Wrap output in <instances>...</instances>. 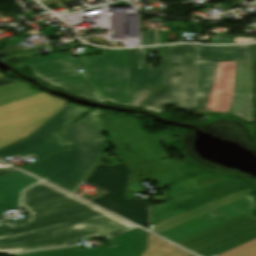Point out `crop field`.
<instances>
[{"instance_id": "obj_29", "label": "crop field", "mask_w": 256, "mask_h": 256, "mask_svg": "<svg viewBox=\"0 0 256 256\" xmlns=\"http://www.w3.org/2000/svg\"><path fill=\"white\" fill-rule=\"evenodd\" d=\"M194 256V255H193Z\"/></svg>"}, {"instance_id": "obj_11", "label": "crop field", "mask_w": 256, "mask_h": 256, "mask_svg": "<svg viewBox=\"0 0 256 256\" xmlns=\"http://www.w3.org/2000/svg\"><path fill=\"white\" fill-rule=\"evenodd\" d=\"M148 232L138 228L109 238L115 246L79 250L78 247L46 250L16 256H141Z\"/></svg>"}, {"instance_id": "obj_3", "label": "crop field", "mask_w": 256, "mask_h": 256, "mask_svg": "<svg viewBox=\"0 0 256 256\" xmlns=\"http://www.w3.org/2000/svg\"><path fill=\"white\" fill-rule=\"evenodd\" d=\"M97 117L98 112L93 111L60 132L67 151L23 170L73 193L107 149Z\"/></svg>"}, {"instance_id": "obj_22", "label": "crop field", "mask_w": 256, "mask_h": 256, "mask_svg": "<svg viewBox=\"0 0 256 256\" xmlns=\"http://www.w3.org/2000/svg\"><path fill=\"white\" fill-rule=\"evenodd\" d=\"M219 256H256V240L241 245Z\"/></svg>"}, {"instance_id": "obj_4", "label": "crop field", "mask_w": 256, "mask_h": 256, "mask_svg": "<svg viewBox=\"0 0 256 256\" xmlns=\"http://www.w3.org/2000/svg\"><path fill=\"white\" fill-rule=\"evenodd\" d=\"M252 60L249 46L196 45L193 115L232 110L235 61Z\"/></svg>"}, {"instance_id": "obj_17", "label": "crop field", "mask_w": 256, "mask_h": 256, "mask_svg": "<svg viewBox=\"0 0 256 256\" xmlns=\"http://www.w3.org/2000/svg\"><path fill=\"white\" fill-rule=\"evenodd\" d=\"M248 187V184L238 179H234L200 189L194 193L201 207Z\"/></svg>"}, {"instance_id": "obj_13", "label": "crop field", "mask_w": 256, "mask_h": 256, "mask_svg": "<svg viewBox=\"0 0 256 256\" xmlns=\"http://www.w3.org/2000/svg\"><path fill=\"white\" fill-rule=\"evenodd\" d=\"M38 179L21 171L0 178V214L6 209H18L21 192L37 183ZM1 219V217H0Z\"/></svg>"}, {"instance_id": "obj_15", "label": "crop field", "mask_w": 256, "mask_h": 256, "mask_svg": "<svg viewBox=\"0 0 256 256\" xmlns=\"http://www.w3.org/2000/svg\"><path fill=\"white\" fill-rule=\"evenodd\" d=\"M198 207V203L193 193L183 194L179 197L169 200L163 206H152L151 221L152 224H155Z\"/></svg>"}, {"instance_id": "obj_8", "label": "crop field", "mask_w": 256, "mask_h": 256, "mask_svg": "<svg viewBox=\"0 0 256 256\" xmlns=\"http://www.w3.org/2000/svg\"><path fill=\"white\" fill-rule=\"evenodd\" d=\"M90 110L67 103L28 137L1 148L0 159L19 155L40 160L65 149L63 139L57 133Z\"/></svg>"}, {"instance_id": "obj_18", "label": "crop field", "mask_w": 256, "mask_h": 256, "mask_svg": "<svg viewBox=\"0 0 256 256\" xmlns=\"http://www.w3.org/2000/svg\"><path fill=\"white\" fill-rule=\"evenodd\" d=\"M256 238V227L225 239L195 253L201 256H216Z\"/></svg>"}, {"instance_id": "obj_21", "label": "crop field", "mask_w": 256, "mask_h": 256, "mask_svg": "<svg viewBox=\"0 0 256 256\" xmlns=\"http://www.w3.org/2000/svg\"><path fill=\"white\" fill-rule=\"evenodd\" d=\"M39 94L42 93L26 86L22 82L1 87L0 106H4Z\"/></svg>"}, {"instance_id": "obj_27", "label": "crop field", "mask_w": 256, "mask_h": 256, "mask_svg": "<svg viewBox=\"0 0 256 256\" xmlns=\"http://www.w3.org/2000/svg\"><path fill=\"white\" fill-rule=\"evenodd\" d=\"M17 170H5V171H0V177L1 176H4V175H7L9 173H12V172H15Z\"/></svg>"}, {"instance_id": "obj_19", "label": "crop field", "mask_w": 256, "mask_h": 256, "mask_svg": "<svg viewBox=\"0 0 256 256\" xmlns=\"http://www.w3.org/2000/svg\"><path fill=\"white\" fill-rule=\"evenodd\" d=\"M228 177L204 173L194 178L188 179L171 187H168L170 199L183 193L191 192L194 189L227 179Z\"/></svg>"}, {"instance_id": "obj_20", "label": "crop field", "mask_w": 256, "mask_h": 256, "mask_svg": "<svg viewBox=\"0 0 256 256\" xmlns=\"http://www.w3.org/2000/svg\"><path fill=\"white\" fill-rule=\"evenodd\" d=\"M190 255L192 254L152 234H149L147 250L143 253L142 256H190Z\"/></svg>"}, {"instance_id": "obj_12", "label": "crop field", "mask_w": 256, "mask_h": 256, "mask_svg": "<svg viewBox=\"0 0 256 256\" xmlns=\"http://www.w3.org/2000/svg\"><path fill=\"white\" fill-rule=\"evenodd\" d=\"M249 213L213 227L178 244L195 252L199 249L254 227L256 226V217Z\"/></svg>"}, {"instance_id": "obj_16", "label": "crop field", "mask_w": 256, "mask_h": 256, "mask_svg": "<svg viewBox=\"0 0 256 256\" xmlns=\"http://www.w3.org/2000/svg\"><path fill=\"white\" fill-rule=\"evenodd\" d=\"M251 193H252L251 189L248 188V189H246L244 191H241V192L236 193L234 195L228 196L226 198H223L221 200H218L216 202H213L211 204H208V205L203 206L201 208H198L196 210H193V211H190L188 213L182 214L180 216H177L175 218L169 219L167 221L155 224V225L152 226V231L151 232H153L155 234H158V233H160L162 231H165V230H167L169 228H172V227H174L176 225H179V224H181L183 222H186V221H188L190 219H193V218H195L197 216H200V215H202L204 213H207V212H209L211 210H214V209L219 208V207H221L223 205H226V204H228L230 202H233V201H235L237 199L245 197V196H247V195H249Z\"/></svg>"}, {"instance_id": "obj_6", "label": "crop field", "mask_w": 256, "mask_h": 256, "mask_svg": "<svg viewBox=\"0 0 256 256\" xmlns=\"http://www.w3.org/2000/svg\"><path fill=\"white\" fill-rule=\"evenodd\" d=\"M129 172L123 164L114 167L97 165L85 182L106 193L90 201L139 225L147 224L149 199H127L124 196Z\"/></svg>"}, {"instance_id": "obj_5", "label": "crop field", "mask_w": 256, "mask_h": 256, "mask_svg": "<svg viewBox=\"0 0 256 256\" xmlns=\"http://www.w3.org/2000/svg\"><path fill=\"white\" fill-rule=\"evenodd\" d=\"M194 57L195 45H172L162 87L139 107L157 113L163 111L166 104L193 110Z\"/></svg>"}, {"instance_id": "obj_9", "label": "crop field", "mask_w": 256, "mask_h": 256, "mask_svg": "<svg viewBox=\"0 0 256 256\" xmlns=\"http://www.w3.org/2000/svg\"><path fill=\"white\" fill-rule=\"evenodd\" d=\"M169 48L170 46L153 48L162 50L161 63L157 69H154V65H147L144 48L128 50L132 107H138L161 87Z\"/></svg>"}, {"instance_id": "obj_10", "label": "crop field", "mask_w": 256, "mask_h": 256, "mask_svg": "<svg viewBox=\"0 0 256 256\" xmlns=\"http://www.w3.org/2000/svg\"><path fill=\"white\" fill-rule=\"evenodd\" d=\"M256 209V197L249 195L158 235L178 243L213 226Z\"/></svg>"}, {"instance_id": "obj_7", "label": "crop field", "mask_w": 256, "mask_h": 256, "mask_svg": "<svg viewBox=\"0 0 256 256\" xmlns=\"http://www.w3.org/2000/svg\"><path fill=\"white\" fill-rule=\"evenodd\" d=\"M66 103L42 94L0 107V148L28 136Z\"/></svg>"}, {"instance_id": "obj_2", "label": "crop field", "mask_w": 256, "mask_h": 256, "mask_svg": "<svg viewBox=\"0 0 256 256\" xmlns=\"http://www.w3.org/2000/svg\"><path fill=\"white\" fill-rule=\"evenodd\" d=\"M85 75L78 73L80 58L51 55L14 64L29 67L32 74L61 89L103 103L131 107L127 53L104 51V56L84 57Z\"/></svg>"}, {"instance_id": "obj_14", "label": "crop field", "mask_w": 256, "mask_h": 256, "mask_svg": "<svg viewBox=\"0 0 256 256\" xmlns=\"http://www.w3.org/2000/svg\"><path fill=\"white\" fill-rule=\"evenodd\" d=\"M252 61L236 62V85L234 103H233V115L242 119H250L251 122V73L250 66ZM245 92V93H243ZM250 96H247V95ZM241 114V116H238Z\"/></svg>"}, {"instance_id": "obj_26", "label": "crop field", "mask_w": 256, "mask_h": 256, "mask_svg": "<svg viewBox=\"0 0 256 256\" xmlns=\"http://www.w3.org/2000/svg\"><path fill=\"white\" fill-rule=\"evenodd\" d=\"M15 82H19V81L18 80H9V79H5L4 77H2V78H0V87L15 83Z\"/></svg>"}, {"instance_id": "obj_24", "label": "crop field", "mask_w": 256, "mask_h": 256, "mask_svg": "<svg viewBox=\"0 0 256 256\" xmlns=\"http://www.w3.org/2000/svg\"><path fill=\"white\" fill-rule=\"evenodd\" d=\"M144 45L156 44L155 32H142Z\"/></svg>"}, {"instance_id": "obj_28", "label": "crop field", "mask_w": 256, "mask_h": 256, "mask_svg": "<svg viewBox=\"0 0 256 256\" xmlns=\"http://www.w3.org/2000/svg\"><path fill=\"white\" fill-rule=\"evenodd\" d=\"M0 254H4V255H6L5 253H3V252H1V251H0Z\"/></svg>"}, {"instance_id": "obj_23", "label": "crop field", "mask_w": 256, "mask_h": 256, "mask_svg": "<svg viewBox=\"0 0 256 256\" xmlns=\"http://www.w3.org/2000/svg\"><path fill=\"white\" fill-rule=\"evenodd\" d=\"M252 58H253V88H254V96L256 97V45L250 46Z\"/></svg>"}, {"instance_id": "obj_1", "label": "crop field", "mask_w": 256, "mask_h": 256, "mask_svg": "<svg viewBox=\"0 0 256 256\" xmlns=\"http://www.w3.org/2000/svg\"><path fill=\"white\" fill-rule=\"evenodd\" d=\"M22 208L30 213L28 222L16 227L0 222V250L8 255L102 237L95 228L77 230V225L106 226V236L134 227L44 182L24 193Z\"/></svg>"}, {"instance_id": "obj_25", "label": "crop field", "mask_w": 256, "mask_h": 256, "mask_svg": "<svg viewBox=\"0 0 256 256\" xmlns=\"http://www.w3.org/2000/svg\"><path fill=\"white\" fill-rule=\"evenodd\" d=\"M90 227H95L102 235L103 237H105V232H106V228L105 227H99L97 225H90V226H78L76 227L77 229H82V228H90Z\"/></svg>"}]
</instances>
